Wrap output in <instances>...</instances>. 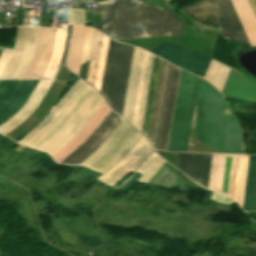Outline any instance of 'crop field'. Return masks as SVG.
<instances>
[{"instance_id": "obj_1", "label": "crop field", "mask_w": 256, "mask_h": 256, "mask_svg": "<svg viewBox=\"0 0 256 256\" xmlns=\"http://www.w3.org/2000/svg\"><path fill=\"white\" fill-rule=\"evenodd\" d=\"M188 151L245 154L241 127L226 99L202 79Z\"/></svg>"}, {"instance_id": "obj_2", "label": "crop field", "mask_w": 256, "mask_h": 256, "mask_svg": "<svg viewBox=\"0 0 256 256\" xmlns=\"http://www.w3.org/2000/svg\"><path fill=\"white\" fill-rule=\"evenodd\" d=\"M104 23L93 26L113 39L183 35L173 14L133 0L97 2Z\"/></svg>"}, {"instance_id": "obj_3", "label": "crop field", "mask_w": 256, "mask_h": 256, "mask_svg": "<svg viewBox=\"0 0 256 256\" xmlns=\"http://www.w3.org/2000/svg\"><path fill=\"white\" fill-rule=\"evenodd\" d=\"M97 95L98 93L87 85L77 96V98L75 97L76 99L62 113L55 123L32 144H30L29 147L44 151L51 156L56 154L60 149H62L66 144L76 137V135L105 103L100 95Z\"/></svg>"}, {"instance_id": "obj_4", "label": "crop field", "mask_w": 256, "mask_h": 256, "mask_svg": "<svg viewBox=\"0 0 256 256\" xmlns=\"http://www.w3.org/2000/svg\"><path fill=\"white\" fill-rule=\"evenodd\" d=\"M179 70L167 62H162L159 86L153 114L149 141L154 150H166Z\"/></svg>"}, {"instance_id": "obj_5", "label": "crop field", "mask_w": 256, "mask_h": 256, "mask_svg": "<svg viewBox=\"0 0 256 256\" xmlns=\"http://www.w3.org/2000/svg\"><path fill=\"white\" fill-rule=\"evenodd\" d=\"M132 49L131 46L122 45L112 40L109 42L101 93L111 108L120 115L122 114Z\"/></svg>"}, {"instance_id": "obj_6", "label": "crop field", "mask_w": 256, "mask_h": 256, "mask_svg": "<svg viewBox=\"0 0 256 256\" xmlns=\"http://www.w3.org/2000/svg\"><path fill=\"white\" fill-rule=\"evenodd\" d=\"M198 78L181 71L167 150L185 151Z\"/></svg>"}, {"instance_id": "obj_7", "label": "crop field", "mask_w": 256, "mask_h": 256, "mask_svg": "<svg viewBox=\"0 0 256 256\" xmlns=\"http://www.w3.org/2000/svg\"><path fill=\"white\" fill-rule=\"evenodd\" d=\"M139 134L140 132L124 120L103 144V146L81 165L102 172L122 156ZM140 136L141 134L139 137ZM139 137L134 141V143L139 139ZM134 143L129 147V149L134 145ZM129 149L124 153V155L129 151ZM124 155L119 160H121ZM119 160L103 171V173L109 170Z\"/></svg>"}, {"instance_id": "obj_8", "label": "crop field", "mask_w": 256, "mask_h": 256, "mask_svg": "<svg viewBox=\"0 0 256 256\" xmlns=\"http://www.w3.org/2000/svg\"><path fill=\"white\" fill-rule=\"evenodd\" d=\"M32 28L19 27L14 51L1 78L15 79L26 53ZM38 28H33L29 46L16 79H22L34 54Z\"/></svg>"}, {"instance_id": "obj_9", "label": "crop field", "mask_w": 256, "mask_h": 256, "mask_svg": "<svg viewBox=\"0 0 256 256\" xmlns=\"http://www.w3.org/2000/svg\"><path fill=\"white\" fill-rule=\"evenodd\" d=\"M174 65L191 72L205 73L210 57L162 42L149 51Z\"/></svg>"}, {"instance_id": "obj_10", "label": "crop field", "mask_w": 256, "mask_h": 256, "mask_svg": "<svg viewBox=\"0 0 256 256\" xmlns=\"http://www.w3.org/2000/svg\"><path fill=\"white\" fill-rule=\"evenodd\" d=\"M123 120L112 111L89 139L61 164L80 165L102 146Z\"/></svg>"}, {"instance_id": "obj_11", "label": "crop field", "mask_w": 256, "mask_h": 256, "mask_svg": "<svg viewBox=\"0 0 256 256\" xmlns=\"http://www.w3.org/2000/svg\"><path fill=\"white\" fill-rule=\"evenodd\" d=\"M152 151L149 143L142 136L126 156L101 176L99 180L113 186L129 171L135 172Z\"/></svg>"}, {"instance_id": "obj_12", "label": "crop field", "mask_w": 256, "mask_h": 256, "mask_svg": "<svg viewBox=\"0 0 256 256\" xmlns=\"http://www.w3.org/2000/svg\"><path fill=\"white\" fill-rule=\"evenodd\" d=\"M210 157L211 154L179 153L177 169L206 187Z\"/></svg>"}, {"instance_id": "obj_13", "label": "crop field", "mask_w": 256, "mask_h": 256, "mask_svg": "<svg viewBox=\"0 0 256 256\" xmlns=\"http://www.w3.org/2000/svg\"><path fill=\"white\" fill-rule=\"evenodd\" d=\"M219 26L221 36L248 45L229 0L219 2Z\"/></svg>"}, {"instance_id": "obj_14", "label": "crop field", "mask_w": 256, "mask_h": 256, "mask_svg": "<svg viewBox=\"0 0 256 256\" xmlns=\"http://www.w3.org/2000/svg\"><path fill=\"white\" fill-rule=\"evenodd\" d=\"M234 69H231L222 93L246 101H256V81Z\"/></svg>"}, {"instance_id": "obj_15", "label": "crop field", "mask_w": 256, "mask_h": 256, "mask_svg": "<svg viewBox=\"0 0 256 256\" xmlns=\"http://www.w3.org/2000/svg\"><path fill=\"white\" fill-rule=\"evenodd\" d=\"M52 81H39L28 102L7 122L0 126V133L6 134L24 121L39 105Z\"/></svg>"}, {"instance_id": "obj_16", "label": "crop field", "mask_w": 256, "mask_h": 256, "mask_svg": "<svg viewBox=\"0 0 256 256\" xmlns=\"http://www.w3.org/2000/svg\"><path fill=\"white\" fill-rule=\"evenodd\" d=\"M151 57H152L151 54H149L147 52L144 53L143 65H142V70H141V76H140L138 93H137L133 121H132V124L134 126H136L137 128L139 127V121H140V116H141V111H142V105H143V100H144V94H145V89H146V84H147V78H148V73H149V68H150ZM154 58H155V56L153 55L149 78H148L147 89H146V95H145V100H144V105H143V111H142V116H141V121H140V127H139L140 131L142 130V124H143V119H144V113H145V108H146V102H147L150 80H151V75H152V69H153V64H154Z\"/></svg>"}, {"instance_id": "obj_17", "label": "crop field", "mask_w": 256, "mask_h": 256, "mask_svg": "<svg viewBox=\"0 0 256 256\" xmlns=\"http://www.w3.org/2000/svg\"><path fill=\"white\" fill-rule=\"evenodd\" d=\"M186 14L202 25L218 28L217 0H200L181 8Z\"/></svg>"}, {"instance_id": "obj_18", "label": "crop field", "mask_w": 256, "mask_h": 256, "mask_svg": "<svg viewBox=\"0 0 256 256\" xmlns=\"http://www.w3.org/2000/svg\"><path fill=\"white\" fill-rule=\"evenodd\" d=\"M143 53L144 51L141 49H137V48L134 49L130 79L128 84L124 114H123V117L128 119L130 122L132 121V115H133L138 81H139L140 70L142 65Z\"/></svg>"}, {"instance_id": "obj_19", "label": "crop field", "mask_w": 256, "mask_h": 256, "mask_svg": "<svg viewBox=\"0 0 256 256\" xmlns=\"http://www.w3.org/2000/svg\"><path fill=\"white\" fill-rule=\"evenodd\" d=\"M102 107V106H101ZM111 110L106 105L97 112V114L91 119V121L85 126V128L79 133V135L71 141L67 146H65L61 151H59L55 156L52 158L56 163H59L63 160L67 155H69L74 149H76L80 144H82L87 137L94 131V129L101 123V121L108 115Z\"/></svg>"}, {"instance_id": "obj_20", "label": "crop field", "mask_w": 256, "mask_h": 256, "mask_svg": "<svg viewBox=\"0 0 256 256\" xmlns=\"http://www.w3.org/2000/svg\"><path fill=\"white\" fill-rule=\"evenodd\" d=\"M85 84L86 83L79 80L77 84L71 89V91L65 96V98L52 111V113L46 118V120L20 143L27 146L34 139H36L40 134H42L46 129H48L53 124V122L58 118V116L63 112V110L68 106V104L73 100V98L78 94V92L83 88Z\"/></svg>"}, {"instance_id": "obj_21", "label": "crop field", "mask_w": 256, "mask_h": 256, "mask_svg": "<svg viewBox=\"0 0 256 256\" xmlns=\"http://www.w3.org/2000/svg\"><path fill=\"white\" fill-rule=\"evenodd\" d=\"M247 41L250 46L256 47V21L247 0H230Z\"/></svg>"}, {"instance_id": "obj_22", "label": "crop field", "mask_w": 256, "mask_h": 256, "mask_svg": "<svg viewBox=\"0 0 256 256\" xmlns=\"http://www.w3.org/2000/svg\"><path fill=\"white\" fill-rule=\"evenodd\" d=\"M38 81H22L9 102L0 110V124L14 115L26 101ZM26 103V102H25ZM24 103V104H25Z\"/></svg>"}, {"instance_id": "obj_23", "label": "crop field", "mask_w": 256, "mask_h": 256, "mask_svg": "<svg viewBox=\"0 0 256 256\" xmlns=\"http://www.w3.org/2000/svg\"><path fill=\"white\" fill-rule=\"evenodd\" d=\"M86 28L73 26L67 58L68 68L76 75L79 73Z\"/></svg>"}, {"instance_id": "obj_24", "label": "crop field", "mask_w": 256, "mask_h": 256, "mask_svg": "<svg viewBox=\"0 0 256 256\" xmlns=\"http://www.w3.org/2000/svg\"><path fill=\"white\" fill-rule=\"evenodd\" d=\"M243 209L256 210V156H250Z\"/></svg>"}, {"instance_id": "obj_25", "label": "crop field", "mask_w": 256, "mask_h": 256, "mask_svg": "<svg viewBox=\"0 0 256 256\" xmlns=\"http://www.w3.org/2000/svg\"><path fill=\"white\" fill-rule=\"evenodd\" d=\"M178 180L179 178L174 168L165 162L157 173L151 178L149 183L172 188Z\"/></svg>"}, {"instance_id": "obj_26", "label": "crop field", "mask_w": 256, "mask_h": 256, "mask_svg": "<svg viewBox=\"0 0 256 256\" xmlns=\"http://www.w3.org/2000/svg\"><path fill=\"white\" fill-rule=\"evenodd\" d=\"M229 70L230 68L213 60L205 79L212 82L220 91H222Z\"/></svg>"}, {"instance_id": "obj_27", "label": "crop field", "mask_w": 256, "mask_h": 256, "mask_svg": "<svg viewBox=\"0 0 256 256\" xmlns=\"http://www.w3.org/2000/svg\"><path fill=\"white\" fill-rule=\"evenodd\" d=\"M161 62H162L161 59H159V58L156 59V65H155V71H154V77H153V83H152V89H151V95H150V101H149L145 131H144V134L146 135L147 138H149V132H150L152 114H153V109H154L156 91H157V86H158Z\"/></svg>"}, {"instance_id": "obj_28", "label": "crop field", "mask_w": 256, "mask_h": 256, "mask_svg": "<svg viewBox=\"0 0 256 256\" xmlns=\"http://www.w3.org/2000/svg\"><path fill=\"white\" fill-rule=\"evenodd\" d=\"M163 163L164 161L154 153L151 158L138 171L139 173L143 174L138 181L148 182L150 178L156 173V171L162 166Z\"/></svg>"}, {"instance_id": "obj_29", "label": "crop field", "mask_w": 256, "mask_h": 256, "mask_svg": "<svg viewBox=\"0 0 256 256\" xmlns=\"http://www.w3.org/2000/svg\"><path fill=\"white\" fill-rule=\"evenodd\" d=\"M21 81H0V109L12 97Z\"/></svg>"}, {"instance_id": "obj_30", "label": "crop field", "mask_w": 256, "mask_h": 256, "mask_svg": "<svg viewBox=\"0 0 256 256\" xmlns=\"http://www.w3.org/2000/svg\"><path fill=\"white\" fill-rule=\"evenodd\" d=\"M45 30L46 28H40L39 30V35H38V40H37V45H36V50H35V54L31 60V63L27 69V72L24 76L23 79H30L32 74H33V71L35 69V66L38 62V59L41 55V51H42V46H43V40H44V35H45Z\"/></svg>"}, {"instance_id": "obj_31", "label": "crop field", "mask_w": 256, "mask_h": 256, "mask_svg": "<svg viewBox=\"0 0 256 256\" xmlns=\"http://www.w3.org/2000/svg\"><path fill=\"white\" fill-rule=\"evenodd\" d=\"M91 43L92 42L84 45V49H83V55H82L80 73H79V77H81L83 80L86 79V73H87V67H88Z\"/></svg>"}, {"instance_id": "obj_32", "label": "crop field", "mask_w": 256, "mask_h": 256, "mask_svg": "<svg viewBox=\"0 0 256 256\" xmlns=\"http://www.w3.org/2000/svg\"><path fill=\"white\" fill-rule=\"evenodd\" d=\"M70 23L85 26L84 9H71Z\"/></svg>"}, {"instance_id": "obj_33", "label": "crop field", "mask_w": 256, "mask_h": 256, "mask_svg": "<svg viewBox=\"0 0 256 256\" xmlns=\"http://www.w3.org/2000/svg\"><path fill=\"white\" fill-rule=\"evenodd\" d=\"M232 158L227 157L222 192L226 193Z\"/></svg>"}, {"instance_id": "obj_34", "label": "crop field", "mask_w": 256, "mask_h": 256, "mask_svg": "<svg viewBox=\"0 0 256 256\" xmlns=\"http://www.w3.org/2000/svg\"><path fill=\"white\" fill-rule=\"evenodd\" d=\"M249 4H250V7L253 11V14L256 18V0H248Z\"/></svg>"}, {"instance_id": "obj_35", "label": "crop field", "mask_w": 256, "mask_h": 256, "mask_svg": "<svg viewBox=\"0 0 256 256\" xmlns=\"http://www.w3.org/2000/svg\"><path fill=\"white\" fill-rule=\"evenodd\" d=\"M160 1H163L165 2L166 4H169L170 0H160Z\"/></svg>"}, {"instance_id": "obj_36", "label": "crop field", "mask_w": 256, "mask_h": 256, "mask_svg": "<svg viewBox=\"0 0 256 256\" xmlns=\"http://www.w3.org/2000/svg\"><path fill=\"white\" fill-rule=\"evenodd\" d=\"M2 51H3V50H2V49H0V55H1Z\"/></svg>"}]
</instances>
